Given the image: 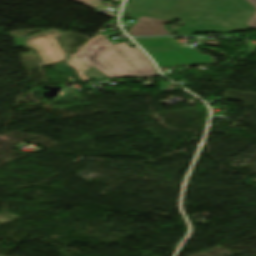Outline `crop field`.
Here are the masks:
<instances>
[{
	"label": "crop field",
	"mask_w": 256,
	"mask_h": 256,
	"mask_svg": "<svg viewBox=\"0 0 256 256\" xmlns=\"http://www.w3.org/2000/svg\"><path fill=\"white\" fill-rule=\"evenodd\" d=\"M58 30L40 32L31 37L16 38L17 47L26 46L36 50L43 65L64 61L74 67L82 82L89 79L83 73L92 66L109 78L159 76L148 58L136 47L126 43L114 45L103 35L90 39L76 54L64 59L67 53L59 46ZM55 45V46H52Z\"/></svg>",
	"instance_id": "crop-field-1"
},
{
	"label": "crop field",
	"mask_w": 256,
	"mask_h": 256,
	"mask_svg": "<svg viewBox=\"0 0 256 256\" xmlns=\"http://www.w3.org/2000/svg\"><path fill=\"white\" fill-rule=\"evenodd\" d=\"M75 1L83 3V4L90 6L94 9H96L99 5L102 4V2H99L97 0H75Z\"/></svg>",
	"instance_id": "crop-field-5"
},
{
	"label": "crop field",
	"mask_w": 256,
	"mask_h": 256,
	"mask_svg": "<svg viewBox=\"0 0 256 256\" xmlns=\"http://www.w3.org/2000/svg\"><path fill=\"white\" fill-rule=\"evenodd\" d=\"M157 62L159 67L215 64L213 57L202 55L194 48H182L169 37L134 38Z\"/></svg>",
	"instance_id": "crop-field-3"
},
{
	"label": "crop field",
	"mask_w": 256,
	"mask_h": 256,
	"mask_svg": "<svg viewBox=\"0 0 256 256\" xmlns=\"http://www.w3.org/2000/svg\"><path fill=\"white\" fill-rule=\"evenodd\" d=\"M171 22L151 17L140 16L136 24L130 28L132 36H154L171 34L164 29V23Z\"/></svg>",
	"instance_id": "crop-field-4"
},
{
	"label": "crop field",
	"mask_w": 256,
	"mask_h": 256,
	"mask_svg": "<svg viewBox=\"0 0 256 256\" xmlns=\"http://www.w3.org/2000/svg\"><path fill=\"white\" fill-rule=\"evenodd\" d=\"M129 10L134 15L180 19L184 27L173 32L184 35L239 31L256 11L247 0H131Z\"/></svg>",
	"instance_id": "crop-field-2"
},
{
	"label": "crop field",
	"mask_w": 256,
	"mask_h": 256,
	"mask_svg": "<svg viewBox=\"0 0 256 256\" xmlns=\"http://www.w3.org/2000/svg\"><path fill=\"white\" fill-rule=\"evenodd\" d=\"M253 6L256 7V0H248ZM247 25L256 28V13L253 15V17L250 19V21L247 23Z\"/></svg>",
	"instance_id": "crop-field-6"
}]
</instances>
